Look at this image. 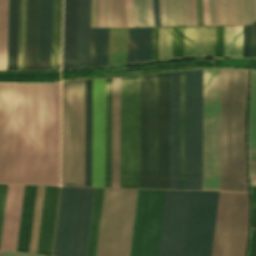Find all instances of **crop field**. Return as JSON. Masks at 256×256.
Wrapping results in <instances>:
<instances>
[{
  "instance_id": "1",
  "label": "crop field",
  "mask_w": 256,
  "mask_h": 256,
  "mask_svg": "<svg viewBox=\"0 0 256 256\" xmlns=\"http://www.w3.org/2000/svg\"><path fill=\"white\" fill-rule=\"evenodd\" d=\"M13 84H0V183L12 184ZM59 183V84H14L13 184Z\"/></svg>"
},
{
  "instance_id": "2",
  "label": "crop field",
  "mask_w": 256,
  "mask_h": 256,
  "mask_svg": "<svg viewBox=\"0 0 256 256\" xmlns=\"http://www.w3.org/2000/svg\"><path fill=\"white\" fill-rule=\"evenodd\" d=\"M220 70H203V190H219ZM185 189L202 190V70L186 72Z\"/></svg>"
},
{
  "instance_id": "3",
  "label": "crop field",
  "mask_w": 256,
  "mask_h": 256,
  "mask_svg": "<svg viewBox=\"0 0 256 256\" xmlns=\"http://www.w3.org/2000/svg\"><path fill=\"white\" fill-rule=\"evenodd\" d=\"M219 195H220V192H210V196H209V192H200V196H199V192L190 191L182 256H191L192 254L198 196H199V204H198L192 256L202 255L208 196H209V204H208V213H207L206 230H205L202 256H212ZM229 196H230V193H225V192H221V195H220L213 256L222 255L226 218H227V211H228V204H229ZM240 196H241V193H231V196H230V204H229L225 241H224L222 256H233ZM247 234H248V196H247V193H242L234 256H245Z\"/></svg>"
},
{
  "instance_id": "4",
  "label": "crop field",
  "mask_w": 256,
  "mask_h": 256,
  "mask_svg": "<svg viewBox=\"0 0 256 256\" xmlns=\"http://www.w3.org/2000/svg\"><path fill=\"white\" fill-rule=\"evenodd\" d=\"M164 191L138 190L130 256H156ZM189 191H165L157 256H181Z\"/></svg>"
},
{
  "instance_id": "5",
  "label": "crop field",
  "mask_w": 256,
  "mask_h": 256,
  "mask_svg": "<svg viewBox=\"0 0 256 256\" xmlns=\"http://www.w3.org/2000/svg\"><path fill=\"white\" fill-rule=\"evenodd\" d=\"M170 74L141 77L140 188L169 189Z\"/></svg>"
},
{
  "instance_id": "6",
  "label": "crop field",
  "mask_w": 256,
  "mask_h": 256,
  "mask_svg": "<svg viewBox=\"0 0 256 256\" xmlns=\"http://www.w3.org/2000/svg\"><path fill=\"white\" fill-rule=\"evenodd\" d=\"M247 92L248 71L221 69L220 190L248 192Z\"/></svg>"
},
{
  "instance_id": "7",
  "label": "crop field",
  "mask_w": 256,
  "mask_h": 256,
  "mask_svg": "<svg viewBox=\"0 0 256 256\" xmlns=\"http://www.w3.org/2000/svg\"><path fill=\"white\" fill-rule=\"evenodd\" d=\"M62 185L84 186V80L62 83Z\"/></svg>"
},
{
  "instance_id": "8",
  "label": "crop field",
  "mask_w": 256,
  "mask_h": 256,
  "mask_svg": "<svg viewBox=\"0 0 256 256\" xmlns=\"http://www.w3.org/2000/svg\"><path fill=\"white\" fill-rule=\"evenodd\" d=\"M136 193L105 189L96 256H129Z\"/></svg>"
},
{
  "instance_id": "9",
  "label": "crop field",
  "mask_w": 256,
  "mask_h": 256,
  "mask_svg": "<svg viewBox=\"0 0 256 256\" xmlns=\"http://www.w3.org/2000/svg\"><path fill=\"white\" fill-rule=\"evenodd\" d=\"M120 187L139 188V77L121 78Z\"/></svg>"
},
{
  "instance_id": "10",
  "label": "crop field",
  "mask_w": 256,
  "mask_h": 256,
  "mask_svg": "<svg viewBox=\"0 0 256 256\" xmlns=\"http://www.w3.org/2000/svg\"><path fill=\"white\" fill-rule=\"evenodd\" d=\"M90 0H65L63 69L88 67Z\"/></svg>"
},
{
  "instance_id": "11",
  "label": "crop field",
  "mask_w": 256,
  "mask_h": 256,
  "mask_svg": "<svg viewBox=\"0 0 256 256\" xmlns=\"http://www.w3.org/2000/svg\"><path fill=\"white\" fill-rule=\"evenodd\" d=\"M180 72L171 73L170 189H179Z\"/></svg>"
},
{
  "instance_id": "12",
  "label": "crop field",
  "mask_w": 256,
  "mask_h": 256,
  "mask_svg": "<svg viewBox=\"0 0 256 256\" xmlns=\"http://www.w3.org/2000/svg\"><path fill=\"white\" fill-rule=\"evenodd\" d=\"M64 187H61L53 256L56 253L59 221ZM78 188L65 187L56 256H69Z\"/></svg>"
},
{
  "instance_id": "13",
  "label": "crop field",
  "mask_w": 256,
  "mask_h": 256,
  "mask_svg": "<svg viewBox=\"0 0 256 256\" xmlns=\"http://www.w3.org/2000/svg\"><path fill=\"white\" fill-rule=\"evenodd\" d=\"M24 186H8L0 249L16 251Z\"/></svg>"
},
{
  "instance_id": "14",
  "label": "crop field",
  "mask_w": 256,
  "mask_h": 256,
  "mask_svg": "<svg viewBox=\"0 0 256 256\" xmlns=\"http://www.w3.org/2000/svg\"><path fill=\"white\" fill-rule=\"evenodd\" d=\"M94 188H79L71 256H86Z\"/></svg>"
},
{
  "instance_id": "15",
  "label": "crop field",
  "mask_w": 256,
  "mask_h": 256,
  "mask_svg": "<svg viewBox=\"0 0 256 256\" xmlns=\"http://www.w3.org/2000/svg\"><path fill=\"white\" fill-rule=\"evenodd\" d=\"M59 187H45L36 254L51 256Z\"/></svg>"
},
{
  "instance_id": "16",
  "label": "crop field",
  "mask_w": 256,
  "mask_h": 256,
  "mask_svg": "<svg viewBox=\"0 0 256 256\" xmlns=\"http://www.w3.org/2000/svg\"><path fill=\"white\" fill-rule=\"evenodd\" d=\"M39 0H26L24 70H37Z\"/></svg>"
},
{
  "instance_id": "17",
  "label": "crop field",
  "mask_w": 256,
  "mask_h": 256,
  "mask_svg": "<svg viewBox=\"0 0 256 256\" xmlns=\"http://www.w3.org/2000/svg\"><path fill=\"white\" fill-rule=\"evenodd\" d=\"M153 28H129L127 63L152 61Z\"/></svg>"
},
{
  "instance_id": "18",
  "label": "crop field",
  "mask_w": 256,
  "mask_h": 256,
  "mask_svg": "<svg viewBox=\"0 0 256 256\" xmlns=\"http://www.w3.org/2000/svg\"><path fill=\"white\" fill-rule=\"evenodd\" d=\"M52 0H40L38 70H50Z\"/></svg>"
},
{
  "instance_id": "19",
  "label": "crop field",
  "mask_w": 256,
  "mask_h": 256,
  "mask_svg": "<svg viewBox=\"0 0 256 256\" xmlns=\"http://www.w3.org/2000/svg\"><path fill=\"white\" fill-rule=\"evenodd\" d=\"M120 168V78L113 79L112 94V187H119Z\"/></svg>"
},
{
  "instance_id": "20",
  "label": "crop field",
  "mask_w": 256,
  "mask_h": 256,
  "mask_svg": "<svg viewBox=\"0 0 256 256\" xmlns=\"http://www.w3.org/2000/svg\"><path fill=\"white\" fill-rule=\"evenodd\" d=\"M37 187L25 186L17 251L28 252Z\"/></svg>"
},
{
  "instance_id": "21",
  "label": "crop field",
  "mask_w": 256,
  "mask_h": 256,
  "mask_svg": "<svg viewBox=\"0 0 256 256\" xmlns=\"http://www.w3.org/2000/svg\"><path fill=\"white\" fill-rule=\"evenodd\" d=\"M111 93L112 79H105V187H111Z\"/></svg>"
},
{
  "instance_id": "22",
  "label": "crop field",
  "mask_w": 256,
  "mask_h": 256,
  "mask_svg": "<svg viewBox=\"0 0 256 256\" xmlns=\"http://www.w3.org/2000/svg\"><path fill=\"white\" fill-rule=\"evenodd\" d=\"M19 0H9L7 70H17V30Z\"/></svg>"
},
{
  "instance_id": "23",
  "label": "crop field",
  "mask_w": 256,
  "mask_h": 256,
  "mask_svg": "<svg viewBox=\"0 0 256 256\" xmlns=\"http://www.w3.org/2000/svg\"><path fill=\"white\" fill-rule=\"evenodd\" d=\"M91 95L92 80H85V186H91Z\"/></svg>"
},
{
  "instance_id": "24",
  "label": "crop field",
  "mask_w": 256,
  "mask_h": 256,
  "mask_svg": "<svg viewBox=\"0 0 256 256\" xmlns=\"http://www.w3.org/2000/svg\"><path fill=\"white\" fill-rule=\"evenodd\" d=\"M104 189L95 188L87 256H95Z\"/></svg>"
},
{
  "instance_id": "25",
  "label": "crop field",
  "mask_w": 256,
  "mask_h": 256,
  "mask_svg": "<svg viewBox=\"0 0 256 256\" xmlns=\"http://www.w3.org/2000/svg\"><path fill=\"white\" fill-rule=\"evenodd\" d=\"M61 0H53L51 69H59Z\"/></svg>"
},
{
  "instance_id": "26",
  "label": "crop field",
  "mask_w": 256,
  "mask_h": 256,
  "mask_svg": "<svg viewBox=\"0 0 256 256\" xmlns=\"http://www.w3.org/2000/svg\"><path fill=\"white\" fill-rule=\"evenodd\" d=\"M243 26L225 27L224 58L242 56Z\"/></svg>"
},
{
  "instance_id": "27",
  "label": "crop field",
  "mask_w": 256,
  "mask_h": 256,
  "mask_svg": "<svg viewBox=\"0 0 256 256\" xmlns=\"http://www.w3.org/2000/svg\"><path fill=\"white\" fill-rule=\"evenodd\" d=\"M8 0H0V70H6Z\"/></svg>"
},
{
  "instance_id": "28",
  "label": "crop field",
  "mask_w": 256,
  "mask_h": 256,
  "mask_svg": "<svg viewBox=\"0 0 256 256\" xmlns=\"http://www.w3.org/2000/svg\"><path fill=\"white\" fill-rule=\"evenodd\" d=\"M249 150L256 151V71H252L249 116Z\"/></svg>"
},
{
  "instance_id": "29",
  "label": "crop field",
  "mask_w": 256,
  "mask_h": 256,
  "mask_svg": "<svg viewBox=\"0 0 256 256\" xmlns=\"http://www.w3.org/2000/svg\"><path fill=\"white\" fill-rule=\"evenodd\" d=\"M126 9L128 27H133V23L134 27L147 26L144 0H132L133 23L131 13V0H126Z\"/></svg>"
},
{
  "instance_id": "30",
  "label": "crop field",
  "mask_w": 256,
  "mask_h": 256,
  "mask_svg": "<svg viewBox=\"0 0 256 256\" xmlns=\"http://www.w3.org/2000/svg\"><path fill=\"white\" fill-rule=\"evenodd\" d=\"M184 88L185 72H181L180 189H184Z\"/></svg>"
},
{
  "instance_id": "31",
  "label": "crop field",
  "mask_w": 256,
  "mask_h": 256,
  "mask_svg": "<svg viewBox=\"0 0 256 256\" xmlns=\"http://www.w3.org/2000/svg\"><path fill=\"white\" fill-rule=\"evenodd\" d=\"M110 27H127L125 0H111Z\"/></svg>"
},
{
  "instance_id": "32",
  "label": "crop field",
  "mask_w": 256,
  "mask_h": 256,
  "mask_svg": "<svg viewBox=\"0 0 256 256\" xmlns=\"http://www.w3.org/2000/svg\"><path fill=\"white\" fill-rule=\"evenodd\" d=\"M44 187H38L29 252L35 253Z\"/></svg>"
},
{
  "instance_id": "33",
  "label": "crop field",
  "mask_w": 256,
  "mask_h": 256,
  "mask_svg": "<svg viewBox=\"0 0 256 256\" xmlns=\"http://www.w3.org/2000/svg\"><path fill=\"white\" fill-rule=\"evenodd\" d=\"M109 29H99L97 66L108 65Z\"/></svg>"
},
{
  "instance_id": "34",
  "label": "crop field",
  "mask_w": 256,
  "mask_h": 256,
  "mask_svg": "<svg viewBox=\"0 0 256 256\" xmlns=\"http://www.w3.org/2000/svg\"><path fill=\"white\" fill-rule=\"evenodd\" d=\"M183 27H172L171 59L182 58Z\"/></svg>"
},
{
  "instance_id": "35",
  "label": "crop field",
  "mask_w": 256,
  "mask_h": 256,
  "mask_svg": "<svg viewBox=\"0 0 256 256\" xmlns=\"http://www.w3.org/2000/svg\"><path fill=\"white\" fill-rule=\"evenodd\" d=\"M195 27H184L183 58L194 57Z\"/></svg>"
},
{
  "instance_id": "36",
  "label": "crop field",
  "mask_w": 256,
  "mask_h": 256,
  "mask_svg": "<svg viewBox=\"0 0 256 256\" xmlns=\"http://www.w3.org/2000/svg\"><path fill=\"white\" fill-rule=\"evenodd\" d=\"M212 64H213V61L185 62V63H175V64H164V65L146 66V67H142V70L143 71H156V70L171 69V68L209 66V65H212Z\"/></svg>"
},
{
  "instance_id": "37",
  "label": "crop field",
  "mask_w": 256,
  "mask_h": 256,
  "mask_svg": "<svg viewBox=\"0 0 256 256\" xmlns=\"http://www.w3.org/2000/svg\"><path fill=\"white\" fill-rule=\"evenodd\" d=\"M214 27H203L202 56H213Z\"/></svg>"
},
{
  "instance_id": "38",
  "label": "crop field",
  "mask_w": 256,
  "mask_h": 256,
  "mask_svg": "<svg viewBox=\"0 0 256 256\" xmlns=\"http://www.w3.org/2000/svg\"><path fill=\"white\" fill-rule=\"evenodd\" d=\"M224 27H216L215 58H223Z\"/></svg>"
},
{
  "instance_id": "39",
  "label": "crop field",
  "mask_w": 256,
  "mask_h": 256,
  "mask_svg": "<svg viewBox=\"0 0 256 256\" xmlns=\"http://www.w3.org/2000/svg\"><path fill=\"white\" fill-rule=\"evenodd\" d=\"M251 41V25L244 26L243 57L249 58Z\"/></svg>"
},
{
  "instance_id": "40",
  "label": "crop field",
  "mask_w": 256,
  "mask_h": 256,
  "mask_svg": "<svg viewBox=\"0 0 256 256\" xmlns=\"http://www.w3.org/2000/svg\"><path fill=\"white\" fill-rule=\"evenodd\" d=\"M22 26H23V0H20V25H19V55H18V70H21V56H22Z\"/></svg>"
},
{
  "instance_id": "41",
  "label": "crop field",
  "mask_w": 256,
  "mask_h": 256,
  "mask_svg": "<svg viewBox=\"0 0 256 256\" xmlns=\"http://www.w3.org/2000/svg\"><path fill=\"white\" fill-rule=\"evenodd\" d=\"M175 5V19H176V26H185V19H184V5L183 0H180V7H181V22H180V7H179V0H174Z\"/></svg>"
},
{
  "instance_id": "42",
  "label": "crop field",
  "mask_w": 256,
  "mask_h": 256,
  "mask_svg": "<svg viewBox=\"0 0 256 256\" xmlns=\"http://www.w3.org/2000/svg\"><path fill=\"white\" fill-rule=\"evenodd\" d=\"M214 8H213V16H214V25H221V6L220 0H213ZM222 5V0H221ZM222 25H223V9H222Z\"/></svg>"
},
{
  "instance_id": "43",
  "label": "crop field",
  "mask_w": 256,
  "mask_h": 256,
  "mask_svg": "<svg viewBox=\"0 0 256 256\" xmlns=\"http://www.w3.org/2000/svg\"><path fill=\"white\" fill-rule=\"evenodd\" d=\"M6 189H7V186H0V237H1V229H2V221H3V213H4V205H5V197H6Z\"/></svg>"
},
{
  "instance_id": "44",
  "label": "crop field",
  "mask_w": 256,
  "mask_h": 256,
  "mask_svg": "<svg viewBox=\"0 0 256 256\" xmlns=\"http://www.w3.org/2000/svg\"><path fill=\"white\" fill-rule=\"evenodd\" d=\"M95 28H90L89 67H94Z\"/></svg>"
},
{
  "instance_id": "45",
  "label": "crop field",
  "mask_w": 256,
  "mask_h": 256,
  "mask_svg": "<svg viewBox=\"0 0 256 256\" xmlns=\"http://www.w3.org/2000/svg\"><path fill=\"white\" fill-rule=\"evenodd\" d=\"M256 20V0H248V24Z\"/></svg>"
},
{
  "instance_id": "46",
  "label": "crop field",
  "mask_w": 256,
  "mask_h": 256,
  "mask_svg": "<svg viewBox=\"0 0 256 256\" xmlns=\"http://www.w3.org/2000/svg\"><path fill=\"white\" fill-rule=\"evenodd\" d=\"M237 25H244L243 0H236Z\"/></svg>"
},
{
  "instance_id": "47",
  "label": "crop field",
  "mask_w": 256,
  "mask_h": 256,
  "mask_svg": "<svg viewBox=\"0 0 256 256\" xmlns=\"http://www.w3.org/2000/svg\"><path fill=\"white\" fill-rule=\"evenodd\" d=\"M227 8H228V25H230L229 0H227ZM230 11H231V25H233V11H234V25H236L235 0H233V11H232V0H230Z\"/></svg>"
},
{
  "instance_id": "48",
  "label": "crop field",
  "mask_w": 256,
  "mask_h": 256,
  "mask_svg": "<svg viewBox=\"0 0 256 256\" xmlns=\"http://www.w3.org/2000/svg\"><path fill=\"white\" fill-rule=\"evenodd\" d=\"M248 256H256V230H252L251 242Z\"/></svg>"
},
{
  "instance_id": "49",
  "label": "crop field",
  "mask_w": 256,
  "mask_h": 256,
  "mask_svg": "<svg viewBox=\"0 0 256 256\" xmlns=\"http://www.w3.org/2000/svg\"><path fill=\"white\" fill-rule=\"evenodd\" d=\"M255 44H256V22L252 24V41H251L250 58H254Z\"/></svg>"
},
{
  "instance_id": "50",
  "label": "crop field",
  "mask_w": 256,
  "mask_h": 256,
  "mask_svg": "<svg viewBox=\"0 0 256 256\" xmlns=\"http://www.w3.org/2000/svg\"><path fill=\"white\" fill-rule=\"evenodd\" d=\"M204 25H210L208 0H203Z\"/></svg>"
},
{
  "instance_id": "51",
  "label": "crop field",
  "mask_w": 256,
  "mask_h": 256,
  "mask_svg": "<svg viewBox=\"0 0 256 256\" xmlns=\"http://www.w3.org/2000/svg\"><path fill=\"white\" fill-rule=\"evenodd\" d=\"M251 186H256V163L249 162Z\"/></svg>"
},
{
  "instance_id": "52",
  "label": "crop field",
  "mask_w": 256,
  "mask_h": 256,
  "mask_svg": "<svg viewBox=\"0 0 256 256\" xmlns=\"http://www.w3.org/2000/svg\"><path fill=\"white\" fill-rule=\"evenodd\" d=\"M155 26H160L158 0H153Z\"/></svg>"
},
{
  "instance_id": "53",
  "label": "crop field",
  "mask_w": 256,
  "mask_h": 256,
  "mask_svg": "<svg viewBox=\"0 0 256 256\" xmlns=\"http://www.w3.org/2000/svg\"><path fill=\"white\" fill-rule=\"evenodd\" d=\"M158 28H154L153 61L157 60Z\"/></svg>"
},
{
  "instance_id": "54",
  "label": "crop field",
  "mask_w": 256,
  "mask_h": 256,
  "mask_svg": "<svg viewBox=\"0 0 256 256\" xmlns=\"http://www.w3.org/2000/svg\"><path fill=\"white\" fill-rule=\"evenodd\" d=\"M59 73L50 74H0V76H57Z\"/></svg>"
},
{
  "instance_id": "55",
  "label": "crop field",
  "mask_w": 256,
  "mask_h": 256,
  "mask_svg": "<svg viewBox=\"0 0 256 256\" xmlns=\"http://www.w3.org/2000/svg\"><path fill=\"white\" fill-rule=\"evenodd\" d=\"M0 256H38V255H31V254H24V253L1 250Z\"/></svg>"
},
{
  "instance_id": "56",
  "label": "crop field",
  "mask_w": 256,
  "mask_h": 256,
  "mask_svg": "<svg viewBox=\"0 0 256 256\" xmlns=\"http://www.w3.org/2000/svg\"><path fill=\"white\" fill-rule=\"evenodd\" d=\"M104 6H105V0H101V6H100V27H104Z\"/></svg>"
},
{
  "instance_id": "57",
  "label": "crop field",
  "mask_w": 256,
  "mask_h": 256,
  "mask_svg": "<svg viewBox=\"0 0 256 256\" xmlns=\"http://www.w3.org/2000/svg\"><path fill=\"white\" fill-rule=\"evenodd\" d=\"M171 26H175L173 0H169Z\"/></svg>"
},
{
  "instance_id": "58",
  "label": "crop field",
  "mask_w": 256,
  "mask_h": 256,
  "mask_svg": "<svg viewBox=\"0 0 256 256\" xmlns=\"http://www.w3.org/2000/svg\"><path fill=\"white\" fill-rule=\"evenodd\" d=\"M92 17H93V0H91V26L90 27H92ZM93 27H95V0H94Z\"/></svg>"
},
{
  "instance_id": "59",
  "label": "crop field",
  "mask_w": 256,
  "mask_h": 256,
  "mask_svg": "<svg viewBox=\"0 0 256 256\" xmlns=\"http://www.w3.org/2000/svg\"><path fill=\"white\" fill-rule=\"evenodd\" d=\"M252 228H256V208H252Z\"/></svg>"
},
{
  "instance_id": "60",
  "label": "crop field",
  "mask_w": 256,
  "mask_h": 256,
  "mask_svg": "<svg viewBox=\"0 0 256 256\" xmlns=\"http://www.w3.org/2000/svg\"><path fill=\"white\" fill-rule=\"evenodd\" d=\"M161 26H164L162 0H159Z\"/></svg>"
},
{
  "instance_id": "61",
  "label": "crop field",
  "mask_w": 256,
  "mask_h": 256,
  "mask_svg": "<svg viewBox=\"0 0 256 256\" xmlns=\"http://www.w3.org/2000/svg\"><path fill=\"white\" fill-rule=\"evenodd\" d=\"M167 26H170L168 0H165Z\"/></svg>"
},
{
  "instance_id": "62",
  "label": "crop field",
  "mask_w": 256,
  "mask_h": 256,
  "mask_svg": "<svg viewBox=\"0 0 256 256\" xmlns=\"http://www.w3.org/2000/svg\"><path fill=\"white\" fill-rule=\"evenodd\" d=\"M184 5H185L186 26H188V25H189V19H188V5H187V0H184Z\"/></svg>"
},
{
  "instance_id": "63",
  "label": "crop field",
  "mask_w": 256,
  "mask_h": 256,
  "mask_svg": "<svg viewBox=\"0 0 256 256\" xmlns=\"http://www.w3.org/2000/svg\"><path fill=\"white\" fill-rule=\"evenodd\" d=\"M170 43H171V27L169 28L167 59H170Z\"/></svg>"
},
{
  "instance_id": "64",
  "label": "crop field",
  "mask_w": 256,
  "mask_h": 256,
  "mask_svg": "<svg viewBox=\"0 0 256 256\" xmlns=\"http://www.w3.org/2000/svg\"><path fill=\"white\" fill-rule=\"evenodd\" d=\"M223 8H224V25H227V9H226V0H223Z\"/></svg>"
},
{
  "instance_id": "65",
  "label": "crop field",
  "mask_w": 256,
  "mask_h": 256,
  "mask_svg": "<svg viewBox=\"0 0 256 256\" xmlns=\"http://www.w3.org/2000/svg\"><path fill=\"white\" fill-rule=\"evenodd\" d=\"M188 4H189V18H190V25H193L191 0H188Z\"/></svg>"
},
{
  "instance_id": "66",
  "label": "crop field",
  "mask_w": 256,
  "mask_h": 256,
  "mask_svg": "<svg viewBox=\"0 0 256 256\" xmlns=\"http://www.w3.org/2000/svg\"><path fill=\"white\" fill-rule=\"evenodd\" d=\"M249 161L256 162V152H249Z\"/></svg>"
},
{
  "instance_id": "67",
  "label": "crop field",
  "mask_w": 256,
  "mask_h": 256,
  "mask_svg": "<svg viewBox=\"0 0 256 256\" xmlns=\"http://www.w3.org/2000/svg\"><path fill=\"white\" fill-rule=\"evenodd\" d=\"M107 17H108V0H106V7H105V27H107Z\"/></svg>"
},
{
  "instance_id": "68",
  "label": "crop field",
  "mask_w": 256,
  "mask_h": 256,
  "mask_svg": "<svg viewBox=\"0 0 256 256\" xmlns=\"http://www.w3.org/2000/svg\"><path fill=\"white\" fill-rule=\"evenodd\" d=\"M192 4H193V18H194V25H196L195 0H192Z\"/></svg>"
},
{
  "instance_id": "69",
  "label": "crop field",
  "mask_w": 256,
  "mask_h": 256,
  "mask_svg": "<svg viewBox=\"0 0 256 256\" xmlns=\"http://www.w3.org/2000/svg\"><path fill=\"white\" fill-rule=\"evenodd\" d=\"M210 4V18H211V25H213V17H212V7H213V2L212 0H209Z\"/></svg>"
},
{
  "instance_id": "70",
  "label": "crop field",
  "mask_w": 256,
  "mask_h": 256,
  "mask_svg": "<svg viewBox=\"0 0 256 256\" xmlns=\"http://www.w3.org/2000/svg\"><path fill=\"white\" fill-rule=\"evenodd\" d=\"M244 8H245V25L247 24V0H244Z\"/></svg>"
},
{
  "instance_id": "71",
  "label": "crop field",
  "mask_w": 256,
  "mask_h": 256,
  "mask_svg": "<svg viewBox=\"0 0 256 256\" xmlns=\"http://www.w3.org/2000/svg\"><path fill=\"white\" fill-rule=\"evenodd\" d=\"M147 4H148V11H149V20H150V26H152V22H151V9H150V0H147Z\"/></svg>"
},
{
  "instance_id": "72",
  "label": "crop field",
  "mask_w": 256,
  "mask_h": 256,
  "mask_svg": "<svg viewBox=\"0 0 256 256\" xmlns=\"http://www.w3.org/2000/svg\"><path fill=\"white\" fill-rule=\"evenodd\" d=\"M97 38H98V29H96L95 67H96V57H97Z\"/></svg>"
},
{
  "instance_id": "73",
  "label": "crop field",
  "mask_w": 256,
  "mask_h": 256,
  "mask_svg": "<svg viewBox=\"0 0 256 256\" xmlns=\"http://www.w3.org/2000/svg\"><path fill=\"white\" fill-rule=\"evenodd\" d=\"M98 7H99V0H97V7H96V28H98Z\"/></svg>"
},
{
  "instance_id": "74",
  "label": "crop field",
  "mask_w": 256,
  "mask_h": 256,
  "mask_svg": "<svg viewBox=\"0 0 256 256\" xmlns=\"http://www.w3.org/2000/svg\"><path fill=\"white\" fill-rule=\"evenodd\" d=\"M248 67H254V68H256V60H250Z\"/></svg>"
},
{
  "instance_id": "75",
  "label": "crop field",
  "mask_w": 256,
  "mask_h": 256,
  "mask_svg": "<svg viewBox=\"0 0 256 256\" xmlns=\"http://www.w3.org/2000/svg\"><path fill=\"white\" fill-rule=\"evenodd\" d=\"M252 197H256V189H251Z\"/></svg>"
},
{
  "instance_id": "76",
  "label": "crop field",
  "mask_w": 256,
  "mask_h": 256,
  "mask_svg": "<svg viewBox=\"0 0 256 256\" xmlns=\"http://www.w3.org/2000/svg\"><path fill=\"white\" fill-rule=\"evenodd\" d=\"M252 200V206H256V198H251Z\"/></svg>"
},
{
  "instance_id": "77",
  "label": "crop field",
  "mask_w": 256,
  "mask_h": 256,
  "mask_svg": "<svg viewBox=\"0 0 256 256\" xmlns=\"http://www.w3.org/2000/svg\"><path fill=\"white\" fill-rule=\"evenodd\" d=\"M151 8H152V21H153V26H154L152 0H151Z\"/></svg>"
},
{
  "instance_id": "78",
  "label": "crop field",
  "mask_w": 256,
  "mask_h": 256,
  "mask_svg": "<svg viewBox=\"0 0 256 256\" xmlns=\"http://www.w3.org/2000/svg\"><path fill=\"white\" fill-rule=\"evenodd\" d=\"M109 17H110V0H109ZM109 17H108V27H109Z\"/></svg>"
},
{
  "instance_id": "79",
  "label": "crop field",
  "mask_w": 256,
  "mask_h": 256,
  "mask_svg": "<svg viewBox=\"0 0 256 256\" xmlns=\"http://www.w3.org/2000/svg\"><path fill=\"white\" fill-rule=\"evenodd\" d=\"M145 5H146V11H147V4H146V0H145ZM147 20H148V11H147ZM148 26H149V21H148Z\"/></svg>"
},
{
  "instance_id": "80",
  "label": "crop field",
  "mask_w": 256,
  "mask_h": 256,
  "mask_svg": "<svg viewBox=\"0 0 256 256\" xmlns=\"http://www.w3.org/2000/svg\"><path fill=\"white\" fill-rule=\"evenodd\" d=\"M163 6H164V0H163ZM164 20H165V6H164ZM165 26H166V20H165Z\"/></svg>"
},
{
  "instance_id": "81",
  "label": "crop field",
  "mask_w": 256,
  "mask_h": 256,
  "mask_svg": "<svg viewBox=\"0 0 256 256\" xmlns=\"http://www.w3.org/2000/svg\"><path fill=\"white\" fill-rule=\"evenodd\" d=\"M251 188H256V187H251Z\"/></svg>"
},
{
  "instance_id": "82",
  "label": "crop field",
  "mask_w": 256,
  "mask_h": 256,
  "mask_svg": "<svg viewBox=\"0 0 256 256\" xmlns=\"http://www.w3.org/2000/svg\"><path fill=\"white\" fill-rule=\"evenodd\" d=\"M1 251V250H0Z\"/></svg>"
}]
</instances>
